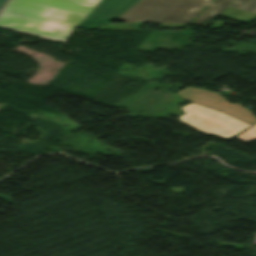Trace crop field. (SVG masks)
<instances>
[{
  "label": "crop field",
  "instance_id": "1",
  "mask_svg": "<svg viewBox=\"0 0 256 256\" xmlns=\"http://www.w3.org/2000/svg\"><path fill=\"white\" fill-rule=\"evenodd\" d=\"M100 0H11L0 27L64 42Z\"/></svg>",
  "mask_w": 256,
  "mask_h": 256
},
{
  "label": "crop field",
  "instance_id": "2",
  "mask_svg": "<svg viewBox=\"0 0 256 256\" xmlns=\"http://www.w3.org/2000/svg\"><path fill=\"white\" fill-rule=\"evenodd\" d=\"M209 3L203 0H141L118 20L149 23H189Z\"/></svg>",
  "mask_w": 256,
  "mask_h": 256
},
{
  "label": "crop field",
  "instance_id": "3",
  "mask_svg": "<svg viewBox=\"0 0 256 256\" xmlns=\"http://www.w3.org/2000/svg\"><path fill=\"white\" fill-rule=\"evenodd\" d=\"M181 110L185 114L178 117L180 122L225 139L250 126L222 112L193 103L181 107Z\"/></svg>",
  "mask_w": 256,
  "mask_h": 256
},
{
  "label": "crop field",
  "instance_id": "4",
  "mask_svg": "<svg viewBox=\"0 0 256 256\" xmlns=\"http://www.w3.org/2000/svg\"><path fill=\"white\" fill-rule=\"evenodd\" d=\"M176 93L186 100L194 101L218 109L250 124L256 122V118L251 111L237 103L230 104L225 100L224 97L215 92H208L203 89H194L189 87Z\"/></svg>",
  "mask_w": 256,
  "mask_h": 256
},
{
  "label": "crop field",
  "instance_id": "5",
  "mask_svg": "<svg viewBox=\"0 0 256 256\" xmlns=\"http://www.w3.org/2000/svg\"><path fill=\"white\" fill-rule=\"evenodd\" d=\"M140 0H101L96 9L81 24V28L94 29L100 24H108L119 17ZM211 2V0H205Z\"/></svg>",
  "mask_w": 256,
  "mask_h": 256
},
{
  "label": "crop field",
  "instance_id": "6",
  "mask_svg": "<svg viewBox=\"0 0 256 256\" xmlns=\"http://www.w3.org/2000/svg\"><path fill=\"white\" fill-rule=\"evenodd\" d=\"M232 1L233 0H214L193 24L207 27L232 3Z\"/></svg>",
  "mask_w": 256,
  "mask_h": 256
},
{
  "label": "crop field",
  "instance_id": "7",
  "mask_svg": "<svg viewBox=\"0 0 256 256\" xmlns=\"http://www.w3.org/2000/svg\"><path fill=\"white\" fill-rule=\"evenodd\" d=\"M220 16L233 19L241 23H248L256 17V14L227 8Z\"/></svg>",
  "mask_w": 256,
  "mask_h": 256
},
{
  "label": "crop field",
  "instance_id": "8",
  "mask_svg": "<svg viewBox=\"0 0 256 256\" xmlns=\"http://www.w3.org/2000/svg\"><path fill=\"white\" fill-rule=\"evenodd\" d=\"M229 7L256 13V0H234Z\"/></svg>",
  "mask_w": 256,
  "mask_h": 256
},
{
  "label": "crop field",
  "instance_id": "9",
  "mask_svg": "<svg viewBox=\"0 0 256 256\" xmlns=\"http://www.w3.org/2000/svg\"><path fill=\"white\" fill-rule=\"evenodd\" d=\"M236 138L248 143L254 139H256V125L246 130L242 134L238 135Z\"/></svg>",
  "mask_w": 256,
  "mask_h": 256
},
{
  "label": "crop field",
  "instance_id": "10",
  "mask_svg": "<svg viewBox=\"0 0 256 256\" xmlns=\"http://www.w3.org/2000/svg\"><path fill=\"white\" fill-rule=\"evenodd\" d=\"M161 27H185L187 24H160Z\"/></svg>",
  "mask_w": 256,
  "mask_h": 256
},
{
  "label": "crop field",
  "instance_id": "11",
  "mask_svg": "<svg viewBox=\"0 0 256 256\" xmlns=\"http://www.w3.org/2000/svg\"><path fill=\"white\" fill-rule=\"evenodd\" d=\"M224 23H225L224 21L216 20V21L214 22V24H213L214 27H212V28H221Z\"/></svg>",
  "mask_w": 256,
  "mask_h": 256
},
{
  "label": "crop field",
  "instance_id": "12",
  "mask_svg": "<svg viewBox=\"0 0 256 256\" xmlns=\"http://www.w3.org/2000/svg\"><path fill=\"white\" fill-rule=\"evenodd\" d=\"M7 0H0V9L2 8V6L5 4Z\"/></svg>",
  "mask_w": 256,
  "mask_h": 256
}]
</instances>
